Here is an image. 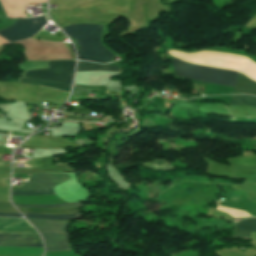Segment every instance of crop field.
<instances>
[{
	"label": "crop field",
	"mask_w": 256,
	"mask_h": 256,
	"mask_svg": "<svg viewBox=\"0 0 256 256\" xmlns=\"http://www.w3.org/2000/svg\"><path fill=\"white\" fill-rule=\"evenodd\" d=\"M102 26L79 24L62 28V30L74 37L79 45L78 59L95 62H106L111 60L112 53L105 50L99 42Z\"/></svg>",
	"instance_id": "8a807250"
},
{
	"label": "crop field",
	"mask_w": 256,
	"mask_h": 256,
	"mask_svg": "<svg viewBox=\"0 0 256 256\" xmlns=\"http://www.w3.org/2000/svg\"><path fill=\"white\" fill-rule=\"evenodd\" d=\"M175 76L196 79L214 84L235 86L237 72L218 70L208 67L188 64L172 58Z\"/></svg>",
	"instance_id": "ac0d7876"
},
{
	"label": "crop field",
	"mask_w": 256,
	"mask_h": 256,
	"mask_svg": "<svg viewBox=\"0 0 256 256\" xmlns=\"http://www.w3.org/2000/svg\"><path fill=\"white\" fill-rule=\"evenodd\" d=\"M21 43L25 47L27 60H72L68 49L62 42L38 41L35 39L23 40Z\"/></svg>",
	"instance_id": "34b2d1b8"
},
{
	"label": "crop field",
	"mask_w": 256,
	"mask_h": 256,
	"mask_svg": "<svg viewBox=\"0 0 256 256\" xmlns=\"http://www.w3.org/2000/svg\"><path fill=\"white\" fill-rule=\"evenodd\" d=\"M45 22L46 21L43 16L32 19L18 20L14 25L1 30L0 36L10 42L26 39L41 30ZM1 37L0 45L10 43Z\"/></svg>",
	"instance_id": "412701ff"
},
{
	"label": "crop field",
	"mask_w": 256,
	"mask_h": 256,
	"mask_svg": "<svg viewBox=\"0 0 256 256\" xmlns=\"http://www.w3.org/2000/svg\"><path fill=\"white\" fill-rule=\"evenodd\" d=\"M74 62L75 61L48 62V69L28 71L26 77L71 84Z\"/></svg>",
	"instance_id": "f4fd0767"
},
{
	"label": "crop field",
	"mask_w": 256,
	"mask_h": 256,
	"mask_svg": "<svg viewBox=\"0 0 256 256\" xmlns=\"http://www.w3.org/2000/svg\"><path fill=\"white\" fill-rule=\"evenodd\" d=\"M70 178H72L70 174L38 173L29 178L24 187L13 191L50 188Z\"/></svg>",
	"instance_id": "dd49c442"
},
{
	"label": "crop field",
	"mask_w": 256,
	"mask_h": 256,
	"mask_svg": "<svg viewBox=\"0 0 256 256\" xmlns=\"http://www.w3.org/2000/svg\"><path fill=\"white\" fill-rule=\"evenodd\" d=\"M0 246L43 247L39 236L0 235Z\"/></svg>",
	"instance_id": "e52e79f7"
},
{
	"label": "crop field",
	"mask_w": 256,
	"mask_h": 256,
	"mask_svg": "<svg viewBox=\"0 0 256 256\" xmlns=\"http://www.w3.org/2000/svg\"><path fill=\"white\" fill-rule=\"evenodd\" d=\"M7 17H26L24 8L32 2H46V0H0Z\"/></svg>",
	"instance_id": "d8731c3e"
},
{
	"label": "crop field",
	"mask_w": 256,
	"mask_h": 256,
	"mask_svg": "<svg viewBox=\"0 0 256 256\" xmlns=\"http://www.w3.org/2000/svg\"><path fill=\"white\" fill-rule=\"evenodd\" d=\"M46 252L69 250L66 234H42Z\"/></svg>",
	"instance_id": "5a996713"
},
{
	"label": "crop field",
	"mask_w": 256,
	"mask_h": 256,
	"mask_svg": "<svg viewBox=\"0 0 256 256\" xmlns=\"http://www.w3.org/2000/svg\"><path fill=\"white\" fill-rule=\"evenodd\" d=\"M32 224L43 232H55V233H67L65 228L69 221H45V220H33L29 219Z\"/></svg>",
	"instance_id": "3316defc"
},
{
	"label": "crop field",
	"mask_w": 256,
	"mask_h": 256,
	"mask_svg": "<svg viewBox=\"0 0 256 256\" xmlns=\"http://www.w3.org/2000/svg\"><path fill=\"white\" fill-rule=\"evenodd\" d=\"M250 232H256V218H249L238 222L234 227L233 237L251 239Z\"/></svg>",
	"instance_id": "28ad6ade"
},
{
	"label": "crop field",
	"mask_w": 256,
	"mask_h": 256,
	"mask_svg": "<svg viewBox=\"0 0 256 256\" xmlns=\"http://www.w3.org/2000/svg\"><path fill=\"white\" fill-rule=\"evenodd\" d=\"M21 212L41 213V214H72L79 212L80 207L67 209H52V208H18Z\"/></svg>",
	"instance_id": "d1516ede"
},
{
	"label": "crop field",
	"mask_w": 256,
	"mask_h": 256,
	"mask_svg": "<svg viewBox=\"0 0 256 256\" xmlns=\"http://www.w3.org/2000/svg\"><path fill=\"white\" fill-rule=\"evenodd\" d=\"M234 91L256 95V83L243 76L242 74H239Z\"/></svg>",
	"instance_id": "22f410ed"
},
{
	"label": "crop field",
	"mask_w": 256,
	"mask_h": 256,
	"mask_svg": "<svg viewBox=\"0 0 256 256\" xmlns=\"http://www.w3.org/2000/svg\"><path fill=\"white\" fill-rule=\"evenodd\" d=\"M20 83L32 84V85H40L45 86L53 89L63 90L69 92L70 86L67 84L43 81V80H36V79H29V78H21Z\"/></svg>",
	"instance_id": "cbeb9de0"
},
{
	"label": "crop field",
	"mask_w": 256,
	"mask_h": 256,
	"mask_svg": "<svg viewBox=\"0 0 256 256\" xmlns=\"http://www.w3.org/2000/svg\"><path fill=\"white\" fill-rule=\"evenodd\" d=\"M87 70L121 71L118 66H102L91 62L78 61L77 71Z\"/></svg>",
	"instance_id": "5142ce71"
},
{
	"label": "crop field",
	"mask_w": 256,
	"mask_h": 256,
	"mask_svg": "<svg viewBox=\"0 0 256 256\" xmlns=\"http://www.w3.org/2000/svg\"><path fill=\"white\" fill-rule=\"evenodd\" d=\"M27 218H38V219H45V220H72L81 218L80 214H73V215H41V214H27L23 213Z\"/></svg>",
	"instance_id": "d9b57169"
},
{
	"label": "crop field",
	"mask_w": 256,
	"mask_h": 256,
	"mask_svg": "<svg viewBox=\"0 0 256 256\" xmlns=\"http://www.w3.org/2000/svg\"><path fill=\"white\" fill-rule=\"evenodd\" d=\"M229 105H248L256 107V98L249 95L233 96Z\"/></svg>",
	"instance_id": "733c2abd"
},
{
	"label": "crop field",
	"mask_w": 256,
	"mask_h": 256,
	"mask_svg": "<svg viewBox=\"0 0 256 256\" xmlns=\"http://www.w3.org/2000/svg\"><path fill=\"white\" fill-rule=\"evenodd\" d=\"M46 194H54L53 189L50 188V189L36 190V191L12 192V196L46 195Z\"/></svg>",
	"instance_id": "4a817a6b"
},
{
	"label": "crop field",
	"mask_w": 256,
	"mask_h": 256,
	"mask_svg": "<svg viewBox=\"0 0 256 256\" xmlns=\"http://www.w3.org/2000/svg\"><path fill=\"white\" fill-rule=\"evenodd\" d=\"M82 206L80 203L73 204H60V205H17L16 207H52V208H67V207H75Z\"/></svg>",
	"instance_id": "bc2a9ffb"
},
{
	"label": "crop field",
	"mask_w": 256,
	"mask_h": 256,
	"mask_svg": "<svg viewBox=\"0 0 256 256\" xmlns=\"http://www.w3.org/2000/svg\"><path fill=\"white\" fill-rule=\"evenodd\" d=\"M0 212L13 213L17 212L9 202H0Z\"/></svg>",
	"instance_id": "214f88e0"
},
{
	"label": "crop field",
	"mask_w": 256,
	"mask_h": 256,
	"mask_svg": "<svg viewBox=\"0 0 256 256\" xmlns=\"http://www.w3.org/2000/svg\"><path fill=\"white\" fill-rule=\"evenodd\" d=\"M247 165H256V157L245 158Z\"/></svg>",
	"instance_id": "92a150f3"
},
{
	"label": "crop field",
	"mask_w": 256,
	"mask_h": 256,
	"mask_svg": "<svg viewBox=\"0 0 256 256\" xmlns=\"http://www.w3.org/2000/svg\"><path fill=\"white\" fill-rule=\"evenodd\" d=\"M0 216H8V217H22L19 213H14V214H5V213H0Z\"/></svg>",
	"instance_id": "dafd665d"
},
{
	"label": "crop field",
	"mask_w": 256,
	"mask_h": 256,
	"mask_svg": "<svg viewBox=\"0 0 256 256\" xmlns=\"http://www.w3.org/2000/svg\"><path fill=\"white\" fill-rule=\"evenodd\" d=\"M7 132H3V131H0V134H6ZM11 132H8V134L10 135Z\"/></svg>",
	"instance_id": "00972430"
}]
</instances>
